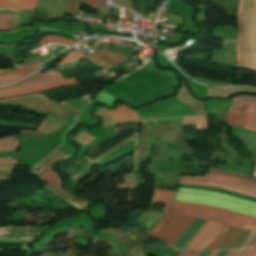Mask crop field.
<instances>
[{"label": "crop field", "mask_w": 256, "mask_h": 256, "mask_svg": "<svg viewBox=\"0 0 256 256\" xmlns=\"http://www.w3.org/2000/svg\"><path fill=\"white\" fill-rule=\"evenodd\" d=\"M101 114L108 125L125 121L140 120L135 111L130 110L124 104L115 110L103 111Z\"/></svg>", "instance_id": "6"}, {"label": "crop field", "mask_w": 256, "mask_h": 256, "mask_svg": "<svg viewBox=\"0 0 256 256\" xmlns=\"http://www.w3.org/2000/svg\"><path fill=\"white\" fill-rule=\"evenodd\" d=\"M36 0H0V4L21 5L33 7Z\"/></svg>", "instance_id": "27"}, {"label": "crop field", "mask_w": 256, "mask_h": 256, "mask_svg": "<svg viewBox=\"0 0 256 256\" xmlns=\"http://www.w3.org/2000/svg\"><path fill=\"white\" fill-rule=\"evenodd\" d=\"M126 2H127V6L130 7V2H129V0H126ZM130 8H131V7H130Z\"/></svg>", "instance_id": "53"}, {"label": "crop field", "mask_w": 256, "mask_h": 256, "mask_svg": "<svg viewBox=\"0 0 256 256\" xmlns=\"http://www.w3.org/2000/svg\"><path fill=\"white\" fill-rule=\"evenodd\" d=\"M96 57H100L104 60L111 61L114 63L120 62V61L124 60L125 58H127V56H124L122 54L104 51V50L98 51V52L90 55L89 57H87L90 62L100 65V66H103V67L111 65V63L102 61Z\"/></svg>", "instance_id": "11"}, {"label": "crop field", "mask_w": 256, "mask_h": 256, "mask_svg": "<svg viewBox=\"0 0 256 256\" xmlns=\"http://www.w3.org/2000/svg\"><path fill=\"white\" fill-rule=\"evenodd\" d=\"M220 226V223L209 221V223L204 228L202 233L198 236V238L191 244V246L188 249H205V247L217 233Z\"/></svg>", "instance_id": "9"}, {"label": "crop field", "mask_w": 256, "mask_h": 256, "mask_svg": "<svg viewBox=\"0 0 256 256\" xmlns=\"http://www.w3.org/2000/svg\"><path fill=\"white\" fill-rule=\"evenodd\" d=\"M165 212L210 219L231 226L256 231L255 217L238 214L207 205L176 201V205L166 204Z\"/></svg>", "instance_id": "1"}, {"label": "crop field", "mask_w": 256, "mask_h": 256, "mask_svg": "<svg viewBox=\"0 0 256 256\" xmlns=\"http://www.w3.org/2000/svg\"><path fill=\"white\" fill-rule=\"evenodd\" d=\"M57 80H63L62 77L58 75V73H40V74H34L30 76L29 78L13 85L1 87L0 90L5 89H11V88H18V87H24V86H30L45 82H51V81H57Z\"/></svg>", "instance_id": "8"}, {"label": "crop field", "mask_w": 256, "mask_h": 256, "mask_svg": "<svg viewBox=\"0 0 256 256\" xmlns=\"http://www.w3.org/2000/svg\"><path fill=\"white\" fill-rule=\"evenodd\" d=\"M187 124H196L197 129L207 128V118L206 116L183 118V125Z\"/></svg>", "instance_id": "24"}, {"label": "crop field", "mask_w": 256, "mask_h": 256, "mask_svg": "<svg viewBox=\"0 0 256 256\" xmlns=\"http://www.w3.org/2000/svg\"><path fill=\"white\" fill-rule=\"evenodd\" d=\"M95 98L100 100L102 103L107 104L109 106H113V102L116 101L113 97L107 94L105 91H101Z\"/></svg>", "instance_id": "29"}, {"label": "crop field", "mask_w": 256, "mask_h": 256, "mask_svg": "<svg viewBox=\"0 0 256 256\" xmlns=\"http://www.w3.org/2000/svg\"><path fill=\"white\" fill-rule=\"evenodd\" d=\"M24 76H19V77H0V85H3V84H8L12 81H15L19 78H22Z\"/></svg>", "instance_id": "37"}, {"label": "crop field", "mask_w": 256, "mask_h": 256, "mask_svg": "<svg viewBox=\"0 0 256 256\" xmlns=\"http://www.w3.org/2000/svg\"><path fill=\"white\" fill-rule=\"evenodd\" d=\"M0 104H13L24 106L44 113L48 116L64 120L66 122L73 118L75 115H77L69 109L57 105L58 103L56 104L39 94L0 100Z\"/></svg>", "instance_id": "2"}, {"label": "crop field", "mask_w": 256, "mask_h": 256, "mask_svg": "<svg viewBox=\"0 0 256 256\" xmlns=\"http://www.w3.org/2000/svg\"><path fill=\"white\" fill-rule=\"evenodd\" d=\"M202 251L190 250L187 256H198Z\"/></svg>", "instance_id": "42"}, {"label": "crop field", "mask_w": 256, "mask_h": 256, "mask_svg": "<svg viewBox=\"0 0 256 256\" xmlns=\"http://www.w3.org/2000/svg\"><path fill=\"white\" fill-rule=\"evenodd\" d=\"M77 41H79V40H67V39H64L61 37H57V36H48V37H43L38 45L49 44V43H64V44H67L70 46V45L76 43Z\"/></svg>", "instance_id": "25"}, {"label": "crop field", "mask_w": 256, "mask_h": 256, "mask_svg": "<svg viewBox=\"0 0 256 256\" xmlns=\"http://www.w3.org/2000/svg\"><path fill=\"white\" fill-rule=\"evenodd\" d=\"M12 15L0 14V31H8Z\"/></svg>", "instance_id": "32"}, {"label": "crop field", "mask_w": 256, "mask_h": 256, "mask_svg": "<svg viewBox=\"0 0 256 256\" xmlns=\"http://www.w3.org/2000/svg\"><path fill=\"white\" fill-rule=\"evenodd\" d=\"M183 252V251H182ZM182 252L179 254V256L182 254Z\"/></svg>", "instance_id": "56"}, {"label": "crop field", "mask_w": 256, "mask_h": 256, "mask_svg": "<svg viewBox=\"0 0 256 256\" xmlns=\"http://www.w3.org/2000/svg\"><path fill=\"white\" fill-rule=\"evenodd\" d=\"M178 191L192 192V193H199V194H210V195L218 196V197H221V198L237 201L241 204L256 206V203H253V202L245 201V200H242V199L234 198V197L223 195V194L208 192V191L189 190V189H181V188H178Z\"/></svg>", "instance_id": "21"}, {"label": "crop field", "mask_w": 256, "mask_h": 256, "mask_svg": "<svg viewBox=\"0 0 256 256\" xmlns=\"http://www.w3.org/2000/svg\"><path fill=\"white\" fill-rule=\"evenodd\" d=\"M208 220L205 221V223L202 225V227L199 229V231L194 235V237L189 241V243L185 246L184 249H187L188 246L193 242V240L198 236V234L201 232V230L204 228V226L207 224Z\"/></svg>", "instance_id": "40"}, {"label": "crop field", "mask_w": 256, "mask_h": 256, "mask_svg": "<svg viewBox=\"0 0 256 256\" xmlns=\"http://www.w3.org/2000/svg\"><path fill=\"white\" fill-rule=\"evenodd\" d=\"M117 2H119V3H121V4H123V5H126L125 4V0H116Z\"/></svg>", "instance_id": "51"}, {"label": "crop field", "mask_w": 256, "mask_h": 256, "mask_svg": "<svg viewBox=\"0 0 256 256\" xmlns=\"http://www.w3.org/2000/svg\"><path fill=\"white\" fill-rule=\"evenodd\" d=\"M227 252H228V250L220 251L217 256H224Z\"/></svg>", "instance_id": "48"}, {"label": "crop field", "mask_w": 256, "mask_h": 256, "mask_svg": "<svg viewBox=\"0 0 256 256\" xmlns=\"http://www.w3.org/2000/svg\"><path fill=\"white\" fill-rule=\"evenodd\" d=\"M50 1L51 0H39L36 4V7H35V10L38 8V5L41 3L40 7L38 8V13H41V14H44L46 15L47 14V11L49 9V5H50Z\"/></svg>", "instance_id": "33"}, {"label": "crop field", "mask_w": 256, "mask_h": 256, "mask_svg": "<svg viewBox=\"0 0 256 256\" xmlns=\"http://www.w3.org/2000/svg\"><path fill=\"white\" fill-rule=\"evenodd\" d=\"M52 167V166H51ZM48 168L46 171H44L42 174H40L39 177L42 181L50 184L51 186L55 187L56 189H59L60 186V180L58 179L57 175L53 172V170ZM61 191V190H60ZM63 192V191H62ZM65 193V192H64ZM68 194V193H66Z\"/></svg>", "instance_id": "18"}, {"label": "crop field", "mask_w": 256, "mask_h": 256, "mask_svg": "<svg viewBox=\"0 0 256 256\" xmlns=\"http://www.w3.org/2000/svg\"><path fill=\"white\" fill-rule=\"evenodd\" d=\"M255 248H256V246L248 247V249L242 256H250L253 253V251L255 250Z\"/></svg>", "instance_id": "41"}, {"label": "crop field", "mask_w": 256, "mask_h": 256, "mask_svg": "<svg viewBox=\"0 0 256 256\" xmlns=\"http://www.w3.org/2000/svg\"><path fill=\"white\" fill-rule=\"evenodd\" d=\"M189 252V250H186L182 256H186V254Z\"/></svg>", "instance_id": "52"}, {"label": "crop field", "mask_w": 256, "mask_h": 256, "mask_svg": "<svg viewBox=\"0 0 256 256\" xmlns=\"http://www.w3.org/2000/svg\"><path fill=\"white\" fill-rule=\"evenodd\" d=\"M45 62L40 63H30V64H13L14 68H21V67H34V66H42Z\"/></svg>", "instance_id": "38"}, {"label": "crop field", "mask_w": 256, "mask_h": 256, "mask_svg": "<svg viewBox=\"0 0 256 256\" xmlns=\"http://www.w3.org/2000/svg\"><path fill=\"white\" fill-rule=\"evenodd\" d=\"M256 102V97L251 96H239L233 99V107L246 104V103H253Z\"/></svg>", "instance_id": "28"}, {"label": "crop field", "mask_w": 256, "mask_h": 256, "mask_svg": "<svg viewBox=\"0 0 256 256\" xmlns=\"http://www.w3.org/2000/svg\"><path fill=\"white\" fill-rule=\"evenodd\" d=\"M228 228V225L222 224L221 228L219 229L218 233L215 235L214 239L211 241V243L207 246L206 249H213L214 246L218 243V241L223 236L224 232Z\"/></svg>", "instance_id": "30"}, {"label": "crop field", "mask_w": 256, "mask_h": 256, "mask_svg": "<svg viewBox=\"0 0 256 256\" xmlns=\"http://www.w3.org/2000/svg\"><path fill=\"white\" fill-rule=\"evenodd\" d=\"M64 158H69V157L56 149L49 157H47L45 160L40 162L39 165L44 171L56 161Z\"/></svg>", "instance_id": "22"}, {"label": "crop field", "mask_w": 256, "mask_h": 256, "mask_svg": "<svg viewBox=\"0 0 256 256\" xmlns=\"http://www.w3.org/2000/svg\"><path fill=\"white\" fill-rule=\"evenodd\" d=\"M9 177L10 176H0V182H2V181L8 182L9 181Z\"/></svg>", "instance_id": "45"}, {"label": "crop field", "mask_w": 256, "mask_h": 256, "mask_svg": "<svg viewBox=\"0 0 256 256\" xmlns=\"http://www.w3.org/2000/svg\"><path fill=\"white\" fill-rule=\"evenodd\" d=\"M45 187L47 190H49L50 192H52L54 195H56L57 197L59 198H62V199H65L66 201L70 202L71 204H73L74 206L80 208V209H83L84 207H86V203L87 201L79 198V197H76V196H73V195H65L61 192H59L58 190H56L55 188L51 187L50 185H45L43 186Z\"/></svg>", "instance_id": "15"}, {"label": "crop field", "mask_w": 256, "mask_h": 256, "mask_svg": "<svg viewBox=\"0 0 256 256\" xmlns=\"http://www.w3.org/2000/svg\"><path fill=\"white\" fill-rule=\"evenodd\" d=\"M0 164H18V163L10 157H0Z\"/></svg>", "instance_id": "39"}, {"label": "crop field", "mask_w": 256, "mask_h": 256, "mask_svg": "<svg viewBox=\"0 0 256 256\" xmlns=\"http://www.w3.org/2000/svg\"><path fill=\"white\" fill-rule=\"evenodd\" d=\"M178 102H180V101L177 100L176 98H171V99L156 103L152 106L143 108L141 110H137L136 113L138 114L140 119L150 117V116L157 115V114H160V113L168 110L169 108H171L173 105L177 104Z\"/></svg>", "instance_id": "10"}, {"label": "crop field", "mask_w": 256, "mask_h": 256, "mask_svg": "<svg viewBox=\"0 0 256 256\" xmlns=\"http://www.w3.org/2000/svg\"><path fill=\"white\" fill-rule=\"evenodd\" d=\"M242 229L229 226L226 233L214 249H230L241 233Z\"/></svg>", "instance_id": "13"}, {"label": "crop field", "mask_w": 256, "mask_h": 256, "mask_svg": "<svg viewBox=\"0 0 256 256\" xmlns=\"http://www.w3.org/2000/svg\"><path fill=\"white\" fill-rule=\"evenodd\" d=\"M183 179L199 180V181H213L218 183H223L227 185L236 186L239 188L247 189L256 192V183L236 179L233 177L216 174L209 172L205 177H192V176H181Z\"/></svg>", "instance_id": "5"}, {"label": "crop field", "mask_w": 256, "mask_h": 256, "mask_svg": "<svg viewBox=\"0 0 256 256\" xmlns=\"http://www.w3.org/2000/svg\"><path fill=\"white\" fill-rule=\"evenodd\" d=\"M244 128L256 131V104L248 105L247 118Z\"/></svg>", "instance_id": "20"}, {"label": "crop field", "mask_w": 256, "mask_h": 256, "mask_svg": "<svg viewBox=\"0 0 256 256\" xmlns=\"http://www.w3.org/2000/svg\"><path fill=\"white\" fill-rule=\"evenodd\" d=\"M179 183L213 186V187L227 189V190H231V191H235V192H239V193H243V194H247V195L256 197V193H252V192H249V191H246V190H242V189H239V188H235V187H231V186H227V185H223V184H218V183L197 182V181H188V180H182V179H180Z\"/></svg>", "instance_id": "16"}, {"label": "crop field", "mask_w": 256, "mask_h": 256, "mask_svg": "<svg viewBox=\"0 0 256 256\" xmlns=\"http://www.w3.org/2000/svg\"><path fill=\"white\" fill-rule=\"evenodd\" d=\"M73 84H76L75 79L67 80V81H57V82H53V83H49V84L24 87V88H19V89H14V90H8V91L0 92V98L7 97V96H17V95H21V94L33 93V92L50 89L53 87L73 85Z\"/></svg>", "instance_id": "7"}, {"label": "crop field", "mask_w": 256, "mask_h": 256, "mask_svg": "<svg viewBox=\"0 0 256 256\" xmlns=\"http://www.w3.org/2000/svg\"><path fill=\"white\" fill-rule=\"evenodd\" d=\"M243 1L244 0H240L239 10H238L239 31H238V37H237V67H239V68H241V66H242V49H241L242 23H241V14H242Z\"/></svg>", "instance_id": "17"}, {"label": "crop field", "mask_w": 256, "mask_h": 256, "mask_svg": "<svg viewBox=\"0 0 256 256\" xmlns=\"http://www.w3.org/2000/svg\"><path fill=\"white\" fill-rule=\"evenodd\" d=\"M210 251H203L199 256H207Z\"/></svg>", "instance_id": "50"}, {"label": "crop field", "mask_w": 256, "mask_h": 256, "mask_svg": "<svg viewBox=\"0 0 256 256\" xmlns=\"http://www.w3.org/2000/svg\"><path fill=\"white\" fill-rule=\"evenodd\" d=\"M172 215L167 214L157 225L148 231L152 236L160 229L166 219H170ZM194 217L184 215H173L171 220L166 223L154 236L162 238L171 245L179 238V236L192 224Z\"/></svg>", "instance_id": "3"}, {"label": "crop field", "mask_w": 256, "mask_h": 256, "mask_svg": "<svg viewBox=\"0 0 256 256\" xmlns=\"http://www.w3.org/2000/svg\"><path fill=\"white\" fill-rule=\"evenodd\" d=\"M60 104L64 105L65 107L69 108L70 110H72L73 112H75L77 114L80 113V111L76 110L75 108H73V107H71V106H69V105H67L63 102H61Z\"/></svg>", "instance_id": "43"}, {"label": "crop field", "mask_w": 256, "mask_h": 256, "mask_svg": "<svg viewBox=\"0 0 256 256\" xmlns=\"http://www.w3.org/2000/svg\"><path fill=\"white\" fill-rule=\"evenodd\" d=\"M80 1L99 9L105 0H80Z\"/></svg>", "instance_id": "36"}, {"label": "crop field", "mask_w": 256, "mask_h": 256, "mask_svg": "<svg viewBox=\"0 0 256 256\" xmlns=\"http://www.w3.org/2000/svg\"><path fill=\"white\" fill-rule=\"evenodd\" d=\"M35 69H25V70H3L0 71V76H18V75H27L33 72Z\"/></svg>", "instance_id": "26"}, {"label": "crop field", "mask_w": 256, "mask_h": 256, "mask_svg": "<svg viewBox=\"0 0 256 256\" xmlns=\"http://www.w3.org/2000/svg\"><path fill=\"white\" fill-rule=\"evenodd\" d=\"M204 219L196 218L193 224L181 235V237L175 242L174 247L183 249L193 235L198 231L201 225L204 223Z\"/></svg>", "instance_id": "12"}, {"label": "crop field", "mask_w": 256, "mask_h": 256, "mask_svg": "<svg viewBox=\"0 0 256 256\" xmlns=\"http://www.w3.org/2000/svg\"><path fill=\"white\" fill-rule=\"evenodd\" d=\"M248 233H249V230L243 229L242 233L240 234V236L238 237L236 243L233 245L232 248L240 247V245L242 244V242L244 241V239H245V237L247 236Z\"/></svg>", "instance_id": "35"}, {"label": "crop field", "mask_w": 256, "mask_h": 256, "mask_svg": "<svg viewBox=\"0 0 256 256\" xmlns=\"http://www.w3.org/2000/svg\"><path fill=\"white\" fill-rule=\"evenodd\" d=\"M251 256H256V250L254 251V253Z\"/></svg>", "instance_id": "55"}, {"label": "crop field", "mask_w": 256, "mask_h": 256, "mask_svg": "<svg viewBox=\"0 0 256 256\" xmlns=\"http://www.w3.org/2000/svg\"><path fill=\"white\" fill-rule=\"evenodd\" d=\"M219 251H211V253L208 256H216Z\"/></svg>", "instance_id": "49"}, {"label": "crop field", "mask_w": 256, "mask_h": 256, "mask_svg": "<svg viewBox=\"0 0 256 256\" xmlns=\"http://www.w3.org/2000/svg\"><path fill=\"white\" fill-rule=\"evenodd\" d=\"M237 250H229V252L225 256H233Z\"/></svg>", "instance_id": "46"}, {"label": "crop field", "mask_w": 256, "mask_h": 256, "mask_svg": "<svg viewBox=\"0 0 256 256\" xmlns=\"http://www.w3.org/2000/svg\"><path fill=\"white\" fill-rule=\"evenodd\" d=\"M81 54V53H80ZM74 51L70 52L59 64L57 65H60V64H65V63H69L71 61H74L76 59H79V58H82V57H85V56H82Z\"/></svg>", "instance_id": "34"}, {"label": "crop field", "mask_w": 256, "mask_h": 256, "mask_svg": "<svg viewBox=\"0 0 256 256\" xmlns=\"http://www.w3.org/2000/svg\"><path fill=\"white\" fill-rule=\"evenodd\" d=\"M246 111L247 105L229 109V114L225 122L242 128Z\"/></svg>", "instance_id": "14"}, {"label": "crop field", "mask_w": 256, "mask_h": 256, "mask_svg": "<svg viewBox=\"0 0 256 256\" xmlns=\"http://www.w3.org/2000/svg\"><path fill=\"white\" fill-rule=\"evenodd\" d=\"M18 149V141L13 136L0 139V151Z\"/></svg>", "instance_id": "23"}, {"label": "crop field", "mask_w": 256, "mask_h": 256, "mask_svg": "<svg viewBox=\"0 0 256 256\" xmlns=\"http://www.w3.org/2000/svg\"><path fill=\"white\" fill-rule=\"evenodd\" d=\"M252 244H256V237H255V239L253 240V242L251 243V245Z\"/></svg>", "instance_id": "54"}, {"label": "crop field", "mask_w": 256, "mask_h": 256, "mask_svg": "<svg viewBox=\"0 0 256 256\" xmlns=\"http://www.w3.org/2000/svg\"><path fill=\"white\" fill-rule=\"evenodd\" d=\"M176 200L208 204L215 207H219V208H223V209H227V210H231V211L256 217V208L243 206L240 204H236V203L229 202V201L222 200L215 197L191 195V194H184V193L178 192Z\"/></svg>", "instance_id": "4"}, {"label": "crop field", "mask_w": 256, "mask_h": 256, "mask_svg": "<svg viewBox=\"0 0 256 256\" xmlns=\"http://www.w3.org/2000/svg\"><path fill=\"white\" fill-rule=\"evenodd\" d=\"M1 7H18V8H28V9H32L29 7H21V6H10V5H0Z\"/></svg>", "instance_id": "47"}, {"label": "crop field", "mask_w": 256, "mask_h": 256, "mask_svg": "<svg viewBox=\"0 0 256 256\" xmlns=\"http://www.w3.org/2000/svg\"><path fill=\"white\" fill-rule=\"evenodd\" d=\"M176 192L156 190L152 202H175Z\"/></svg>", "instance_id": "19"}, {"label": "crop field", "mask_w": 256, "mask_h": 256, "mask_svg": "<svg viewBox=\"0 0 256 256\" xmlns=\"http://www.w3.org/2000/svg\"><path fill=\"white\" fill-rule=\"evenodd\" d=\"M59 127L60 126L56 124L43 121L42 124L38 127L37 131H40L42 133H47V132L58 129Z\"/></svg>", "instance_id": "31"}, {"label": "crop field", "mask_w": 256, "mask_h": 256, "mask_svg": "<svg viewBox=\"0 0 256 256\" xmlns=\"http://www.w3.org/2000/svg\"><path fill=\"white\" fill-rule=\"evenodd\" d=\"M0 169H14L13 165H0Z\"/></svg>", "instance_id": "44"}]
</instances>
